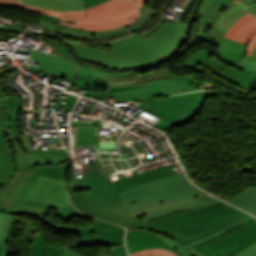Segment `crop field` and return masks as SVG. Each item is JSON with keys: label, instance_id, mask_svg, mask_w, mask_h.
Here are the masks:
<instances>
[{"label": "crop field", "instance_id": "obj_1", "mask_svg": "<svg viewBox=\"0 0 256 256\" xmlns=\"http://www.w3.org/2000/svg\"><path fill=\"white\" fill-rule=\"evenodd\" d=\"M69 196L77 209L87 214L124 225L127 230L145 229L166 235L183 246L250 216L219 202L145 223L96 206L89 197V191L69 192Z\"/></svg>", "mask_w": 256, "mask_h": 256}, {"label": "crop field", "instance_id": "obj_2", "mask_svg": "<svg viewBox=\"0 0 256 256\" xmlns=\"http://www.w3.org/2000/svg\"><path fill=\"white\" fill-rule=\"evenodd\" d=\"M188 24L166 23L110 44V50L86 48L87 44L65 43L84 62L95 63L110 69L150 67L164 55L171 54L188 33ZM82 61V62H83Z\"/></svg>", "mask_w": 256, "mask_h": 256}, {"label": "crop field", "instance_id": "obj_3", "mask_svg": "<svg viewBox=\"0 0 256 256\" xmlns=\"http://www.w3.org/2000/svg\"><path fill=\"white\" fill-rule=\"evenodd\" d=\"M87 10L61 12L59 24L89 30H109L138 18L139 12L131 0H84Z\"/></svg>", "mask_w": 256, "mask_h": 256}, {"label": "crop field", "instance_id": "obj_4", "mask_svg": "<svg viewBox=\"0 0 256 256\" xmlns=\"http://www.w3.org/2000/svg\"><path fill=\"white\" fill-rule=\"evenodd\" d=\"M83 164L84 177L72 179V191L90 190L93 201L102 207L121 203L119 193L154 179L170 176L168 167L132 175L113 182L100 170L96 163Z\"/></svg>", "mask_w": 256, "mask_h": 256}, {"label": "crop field", "instance_id": "obj_5", "mask_svg": "<svg viewBox=\"0 0 256 256\" xmlns=\"http://www.w3.org/2000/svg\"><path fill=\"white\" fill-rule=\"evenodd\" d=\"M60 165H44L23 168H13L11 172L0 183V212L3 207L11 210L37 211L48 214L50 208H58L47 203L22 200L27 188L34 179L47 169L59 167ZM56 215L62 220H69L75 216L90 218L75 210L72 206L58 208ZM94 219V218H91Z\"/></svg>", "mask_w": 256, "mask_h": 256}, {"label": "crop field", "instance_id": "obj_6", "mask_svg": "<svg viewBox=\"0 0 256 256\" xmlns=\"http://www.w3.org/2000/svg\"><path fill=\"white\" fill-rule=\"evenodd\" d=\"M147 86L112 87L107 93L85 91L86 97L115 101H135L197 90L194 76H174L169 68H161L147 74Z\"/></svg>", "mask_w": 256, "mask_h": 256}, {"label": "crop field", "instance_id": "obj_7", "mask_svg": "<svg viewBox=\"0 0 256 256\" xmlns=\"http://www.w3.org/2000/svg\"><path fill=\"white\" fill-rule=\"evenodd\" d=\"M205 193L189 184L183 174L154 180L120 194L123 203H151L201 197Z\"/></svg>", "mask_w": 256, "mask_h": 256}, {"label": "crop field", "instance_id": "obj_8", "mask_svg": "<svg viewBox=\"0 0 256 256\" xmlns=\"http://www.w3.org/2000/svg\"><path fill=\"white\" fill-rule=\"evenodd\" d=\"M30 69L41 70L45 73L70 80L72 81L71 85H74V88L103 92H106L105 87L145 85L146 80V74L139 75L138 71L127 73H107L96 68L83 65H80L79 70L75 75L55 70L44 65L40 68L31 66Z\"/></svg>", "mask_w": 256, "mask_h": 256}, {"label": "crop field", "instance_id": "obj_9", "mask_svg": "<svg viewBox=\"0 0 256 256\" xmlns=\"http://www.w3.org/2000/svg\"><path fill=\"white\" fill-rule=\"evenodd\" d=\"M217 92H192L179 96L149 100L150 103L138 106L146 111L175 125L189 123L197 112L203 107L205 96H217Z\"/></svg>", "mask_w": 256, "mask_h": 256}, {"label": "crop field", "instance_id": "obj_10", "mask_svg": "<svg viewBox=\"0 0 256 256\" xmlns=\"http://www.w3.org/2000/svg\"><path fill=\"white\" fill-rule=\"evenodd\" d=\"M10 109L4 110L5 129L10 128L16 141L10 142L13 147V154L16 158L17 167L43 165V164H61L64 160H69L64 149L26 153L19 144L21 135L18 132V123L21 112L19 95L8 97Z\"/></svg>", "mask_w": 256, "mask_h": 256}, {"label": "crop field", "instance_id": "obj_11", "mask_svg": "<svg viewBox=\"0 0 256 256\" xmlns=\"http://www.w3.org/2000/svg\"><path fill=\"white\" fill-rule=\"evenodd\" d=\"M219 202L211 196L152 204H118L105 209L150 222L171 213L199 208Z\"/></svg>", "mask_w": 256, "mask_h": 256}, {"label": "crop field", "instance_id": "obj_12", "mask_svg": "<svg viewBox=\"0 0 256 256\" xmlns=\"http://www.w3.org/2000/svg\"><path fill=\"white\" fill-rule=\"evenodd\" d=\"M254 242H256V221L196 249L208 256H232Z\"/></svg>", "mask_w": 256, "mask_h": 256}, {"label": "crop field", "instance_id": "obj_13", "mask_svg": "<svg viewBox=\"0 0 256 256\" xmlns=\"http://www.w3.org/2000/svg\"><path fill=\"white\" fill-rule=\"evenodd\" d=\"M214 53L215 52L206 49L198 51L187 58L185 63L190 69L201 63L215 74L226 80L230 78L231 80H229V82L242 86L247 90L250 88L251 84L256 81V75L242 72L220 62V59L213 55Z\"/></svg>", "mask_w": 256, "mask_h": 256}, {"label": "crop field", "instance_id": "obj_14", "mask_svg": "<svg viewBox=\"0 0 256 256\" xmlns=\"http://www.w3.org/2000/svg\"><path fill=\"white\" fill-rule=\"evenodd\" d=\"M253 2L256 0H203L195 20L199 21L198 29H206L210 38L223 44L227 40L223 37L225 32L214 28L216 22L234 6Z\"/></svg>", "mask_w": 256, "mask_h": 256}, {"label": "crop field", "instance_id": "obj_15", "mask_svg": "<svg viewBox=\"0 0 256 256\" xmlns=\"http://www.w3.org/2000/svg\"><path fill=\"white\" fill-rule=\"evenodd\" d=\"M22 199L38 200L64 208L70 206L66 181L39 175Z\"/></svg>", "mask_w": 256, "mask_h": 256}, {"label": "crop field", "instance_id": "obj_16", "mask_svg": "<svg viewBox=\"0 0 256 256\" xmlns=\"http://www.w3.org/2000/svg\"><path fill=\"white\" fill-rule=\"evenodd\" d=\"M3 214H14V215H26L33 216L40 220H42L48 227L65 233H78L77 237H81V233H120L124 234L125 229L111 225L107 222L95 219L91 227L88 228H78V227H67L64 225L56 224L51 222L50 220L44 218V214L37 212H23V211H11L7 209H3Z\"/></svg>", "mask_w": 256, "mask_h": 256}, {"label": "crop field", "instance_id": "obj_17", "mask_svg": "<svg viewBox=\"0 0 256 256\" xmlns=\"http://www.w3.org/2000/svg\"><path fill=\"white\" fill-rule=\"evenodd\" d=\"M42 45L48 46L53 50L49 54L35 50V52L33 51L34 53L30 57V60L40 62L55 69L73 74L75 73L80 64L75 62L68 50H65L63 47L51 42L43 41Z\"/></svg>", "mask_w": 256, "mask_h": 256}, {"label": "crop field", "instance_id": "obj_18", "mask_svg": "<svg viewBox=\"0 0 256 256\" xmlns=\"http://www.w3.org/2000/svg\"><path fill=\"white\" fill-rule=\"evenodd\" d=\"M58 19L59 18L57 17L42 14L40 19L37 20L36 24L40 25V27L59 31L69 36L79 37L83 39L113 37L120 34H126L129 27L128 25H126L118 29L109 30V31H88V30L73 29V28L59 25L57 24Z\"/></svg>", "mask_w": 256, "mask_h": 256}, {"label": "crop field", "instance_id": "obj_19", "mask_svg": "<svg viewBox=\"0 0 256 256\" xmlns=\"http://www.w3.org/2000/svg\"><path fill=\"white\" fill-rule=\"evenodd\" d=\"M126 243L128 246V252H135L148 248L162 247L166 248L178 256H183L174 247L163 241L158 234H154L145 230H130L126 234Z\"/></svg>", "mask_w": 256, "mask_h": 256}, {"label": "crop field", "instance_id": "obj_20", "mask_svg": "<svg viewBox=\"0 0 256 256\" xmlns=\"http://www.w3.org/2000/svg\"><path fill=\"white\" fill-rule=\"evenodd\" d=\"M198 38H200L202 41L210 42L219 45L218 51L215 54L217 57H219L224 63L229 64L231 66H234L242 71L250 72L256 74V72L249 71L247 69L238 67L239 61L244 57L246 54V48L247 46L244 44H241L237 41L228 39L223 45L213 41L210 39L205 30H199L198 31ZM199 39V40H200Z\"/></svg>", "mask_w": 256, "mask_h": 256}, {"label": "crop field", "instance_id": "obj_21", "mask_svg": "<svg viewBox=\"0 0 256 256\" xmlns=\"http://www.w3.org/2000/svg\"><path fill=\"white\" fill-rule=\"evenodd\" d=\"M256 35V18L246 14L233 24L224 37L237 40L248 45L249 40Z\"/></svg>", "mask_w": 256, "mask_h": 256}, {"label": "crop field", "instance_id": "obj_22", "mask_svg": "<svg viewBox=\"0 0 256 256\" xmlns=\"http://www.w3.org/2000/svg\"><path fill=\"white\" fill-rule=\"evenodd\" d=\"M23 3L59 11L86 9L83 0H24Z\"/></svg>", "mask_w": 256, "mask_h": 256}, {"label": "crop field", "instance_id": "obj_23", "mask_svg": "<svg viewBox=\"0 0 256 256\" xmlns=\"http://www.w3.org/2000/svg\"><path fill=\"white\" fill-rule=\"evenodd\" d=\"M121 244H124V235H120V234H82V238H77L75 246L121 245Z\"/></svg>", "mask_w": 256, "mask_h": 256}, {"label": "crop field", "instance_id": "obj_24", "mask_svg": "<svg viewBox=\"0 0 256 256\" xmlns=\"http://www.w3.org/2000/svg\"><path fill=\"white\" fill-rule=\"evenodd\" d=\"M13 167H16V164L12 148L9 142H6L4 133L0 131V182Z\"/></svg>", "mask_w": 256, "mask_h": 256}, {"label": "crop field", "instance_id": "obj_25", "mask_svg": "<svg viewBox=\"0 0 256 256\" xmlns=\"http://www.w3.org/2000/svg\"><path fill=\"white\" fill-rule=\"evenodd\" d=\"M228 202L243 208L256 216V186L241 191Z\"/></svg>", "mask_w": 256, "mask_h": 256}, {"label": "crop field", "instance_id": "obj_26", "mask_svg": "<svg viewBox=\"0 0 256 256\" xmlns=\"http://www.w3.org/2000/svg\"><path fill=\"white\" fill-rule=\"evenodd\" d=\"M63 248L52 247L36 232L30 245L31 256H61Z\"/></svg>", "mask_w": 256, "mask_h": 256}, {"label": "crop field", "instance_id": "obj_27", "mask_svg": "<svg viewBox=\"0 0 256 256\" xmlns=\"http://www.w3.org/2000/svg\"><path fill=\"white\" fill-rule=\"evenodd\" d=\"M17 216L0 213V256H6L10 227Z\"/></svg>", "mask_w": 256, "mask_h": 256}, {"label": "crop field", "instance_id": "obj_28", "mask_svg": "<svg viewBox=\"0 0 256 256\" xmlns=\"http://www.w3.org/2000/svg\"><path fill=\"white\" fill-rule=\"evenodd\" d=\"M226 233L227 232L224 229H221V230H219V231H217V232H215L213 234H210V235H208V236H206V237H204V238H202V239H200L198 241L192 242V243H190V244H188V245H186L184 247L181 246L180 244H178L177 242L173 241L172 239L166 237V236H162V235H160V236L167 243H169V244L173 245L175 248H177L183 255L191 256L189 254V252L187 251V249L199 246V245L204 244L206 242H209V241H211L213 239H216V238H218V237H220V236H222V235H224Z\"/></svg>", "mask_w": 256, "mask_h": 256}, {"label": "crop field", "instance_id": "obj_29", "mask_svg": "<svg viewBox=\"0 0 256 256\" xmlns=\"http://www.w3.org/2000/svg\"><path fill=\"white\" fill-rule=\"evenodd\" d=\"M246 13L247 11L241 5H238L222 16L216 28L227 32L232 24Z\"/></svg>", "mask_w": 256, "mask_h": 256}, {"label": "crop field", "instance_id": "obj_30", "mask_svg": "<svg viewBox=\"0 0 256 256\" xmlns=\"http://www.w3.org/2000/svg\"><path fill=\"white\" fill-rule=\"evenodd\" d=\"M140 13H141V17L140 19L130 28L129 32L134 31L135 29L143 26L146 22L149 21L150 17L152 16V14L156 11L155 9L146 7V6H142L139 9ZM154 15V14H153Z\"/></svg>", "mask_w": 256, "mask_h": 256}, {"label": "crop field", "instance_id": "obj_31", "mask_svg": "<svg viewBox=\"0 0 256 256\" xmlns=\"http://www.w3.org/2000/svg\"><path fill=\"white\" fill-rule=\"evenodd\" d=\"M129 256H177V255H175L174 253L166 249L157 248V249H149V250L131 253L129 254Z\"/></svg>", "mask_w": 256, "mask_h": 256}, {"label": "crop field", "instance_id": "obj_32", "mask_svg": "<svg viewBox=\"0 0 256 256\" xmlns=\"http://www.w3.org/2000/svg\"><path fill=\"white\" fill-rule=\"evenodd\" d=\"M69 165H70V160L61 164V166L59 168L48 170V171L44 172L42 175L66 180L65 174L67 172Z\"/></svg>", "mask_w": 256, "mask_h": 256}, {"label": "crop field", "instance_id": "obj_33", "mask_svg": "<svg viewBox=\"0 0 256 256\" xmlns=\"http://www.w3.org/2000/svg\"><path fill=\"white\" fill-rule=\"evenodd\" d=\"M9 108L7 98L0 99V130L5 133V136L7 137V141H14L15 138L13 134L10 132L9 129L4 130L3 126V109Z\"/></svg>", "mask_w": 256, "mask_h": 256}, {"label": "crop field", "instance_id": "obj_34", "mask_svg": "<svg viewBox=\"0 0 256 256\" xmlns=\"http://www.w3.org/2000/svg\"><path fill=\"white\" fill-rule=\"evenodd\" d=\"M189 252L192 256H206V255L199 253L195 248L189 249ZM234 256H256V243L245 248L244 250L235 254Z\"/></svg>", "mask_w": 256, "mask_h": 256}, {"label": "crop field", "instance_id": "obj_35", "mask_svg": "<svg viewBox=\"0 0 256 256\" xmlns=\"http://www.w3.org/2000/svg\"><path fill=\"white\" fill-rule=\"evenodd\" d=\"M20 8H25V9H28V10H31V11L44 13V14H49V15H53V16H57V17H59V14H60V12H58V11L42 9V8H39V7L29 6V5H24V4H22Z\"/></svg>", "mask_w": 256, "mask_h": 256}, {"label": "crop field", "instance_id": "obj_36", "mask_svg": "<svg viewBox=\"0 0 256 256\" xmlns=\"http://www.w3.org/2000/svg\"><path fill=\"white\" fill-rule=\"evenodd\" d=\"M239 66L247 68V69L252 70V71H256V62L247 60L245 58H243L240 61Z\"/></svg>", "mask_w": 256, "mask_h": 256}, {"label": "crop field", "instance_id": "obj_37", "mask_svg": "<svg viewBox=\"0 0 256 256\" xmlns=\"http://www.w3.org/2000/svg\"><path fill=\"white\" fill-rule=\"evenodd\" d=\"M253 221H255V219L252 218V217H250V218H248V219H246V220H243V221H241V222H239V223H236V224H234V225H232V226H230V227L225 228V230L228 231V232H230V231H232V230H234V229H237V228H239V227H242V226H244V225H246V224H248V223H251V222H253Z\"/></svg>", "mask_w": 256, "mask_h": 256}, {"label": "crop field", "instance_id": "obj_38", "mask_svg": "<svg viewBox=\"0 0 256 256\" xmlns=\"http://www.w3.org/2000/svg\"><path fill=\"white\" fill-rule=\"evenodd\" d=\"M23 0H0V5L9 7H19Z\"/></svg>", "mask_w": 256, "mask_h": 256}, {"label": "crop field", "instance_id": "obj_39", "mask_svg": "<svg viewBox=\"0 0 256 256\" xmlns=\"http://www.w3.org/2000/svg\"><path fill=\"white\" fill-rule=\"evenodd\" d=\"M125 254H127L125 246H113L112 253H111L112 256L125 255Z\"/></svg>", "mask_w": 256, "mask_h": 256}, {"label": "crop field", "instance_id": "obj_40", "mask_svg": "<svg viewBox=\"0 0 256 256\" xmlns=\"http://www.w3.org/2000/svg\"><path fill=\"white\" fill-rule=\"evenodd\" d=\"M76 99H77L76 97L68 95L66 104L63 109L72 110V108L76 102Z\"/></svg>", "mask_w": 256, "mask_h": 256}, {"label": "crop field", "instance_id": "obj_41", "mask_svg": "<svg viewBox=\"0 0 256 256\" xmlns=\"http://www.w3.org/2000/svg\"><path fill=\"white\" fill-rule=\"evenodd\" d=\"M255 45H256V36L251 39L248 45L247 55H251V56L253 55Z\"/></svg>", "mask_w": 256, "mask_h": 256}, {"label": "crop field", "instance_id": "obj_42", "mask_svg": "<svg viewBox=\"0 0 256 256\" xmlns=\"http://www.w3.org/2000/svg\"><path fill=\"white\" fill-rule=\"evenodd\" d=\"M62 256H80V255L74 253L73 251H71V250H69L67 248H64V250L62 252ZM125 256H127V255H125Z\"/></svg>", "mask_w": 256, "mask_h": 256}, {"label": "crop field", "instance_id": "obj_43", "mask_svg": "<svg viewBox=\"0 0 256 256\" xmlns=\"http://www.w3.org/2000/svg\"><path fill=\"white\" fill-rule=\"evenodd\" d=\"M254 16H256V3L245 6Z\"/></svg>", "mask_w": 256, "mask_h": 256}, {"label": "crop field", "instance_id": "obj_44", "mask_svg": "<svg viewBox=\"0 0 256 256\" xmlns=\"http://www.w3.org/2000/svg\"><path fill=\"white\" fill-rule=\"evenodd\" d=\"M134 1L139 8L146 2V0H134Z\"/></svg>", "mask_w": 256, "mask_h": 256}, {"label": "crop field", "instance_id": "obj_45", "mask_svg": "<svg viewBox=\"0 0 256 256\" xmlns=\"http://www.w3.org/2000/svg\"><path fill=\"white\" fill-rule=\"evenodd\" d=\"M245 58L256 61V48L253 57L245 55Z\"/></svg>", "mask_w": 256, "mask_h": 256}, {"label": "crop field", "instance_id": "obj_46", "mask_svg": "<svg viewBox=\"0 0 256 256\" xmlns=\"http://www.w3.org/2000/svg\"><path fill=\"white\" fill-rule=\"evenodd\" d=\"M1 29H5V30H21V29H16V28H12V27H0Z\"/></svg>", "mask_w": 256, "mask_h": 256}, {"label": "crop field", "instance_id": "obj_47", "mask_svg": "<svg viewBox=\"0 0 256 256\" xmlns=\"http://www.w3.org/2000/svg\"><path fill=\"white\" fill-rule=\"evenodd\" d=\"M6 97L1 86H0V98Z\"/></svg>", "mask_w": 256, "mask_h": 256}, {"label": "crop field", "instance_id": "obj_48", "mask_svg": "<svg viewBox=\"0 0 256 256\" xmlns=\"http://www.w3.org/2000/svg\"><path fill=\"white\" fill-rule=\"evenodd\" d=\"M90 162H96V160L94 159V160H90Z\"/></svg>", "mask_w": 256, "mask_h": 256}]
</instances>
